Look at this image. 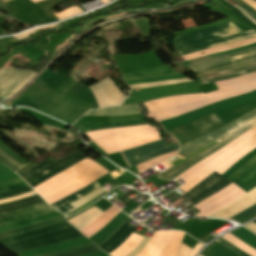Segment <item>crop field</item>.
<instances>
[{
	"instance_id": "1",
	"label": "crop field",
	"mask_w": 256,
	"mask_h": 256,
	"mask_svg": "<svg viewBox=\"0 0 256 256\" xmlns=\"http://www.w3.org/2000/svg\"><path fill=\"white\" fill-rule=\"evenodd\" d=\"M255 148L256 126L179 175L186 183L178 188L187 192L214 171L222 175L234 162Z\"/></svg>"
},
{
	"instance_id": "2",
	"label": "crop field",
	"mask_w": 256,
	"mask_h": 256,
	"mask_svg": "<svg viewBox=\"0 0 256 256\" xmlns=\"http://www.w3.org/2000/svg\"><path fill=\"white\" fill-rule=\"evenodd\" d=\"M254 36H256V31L243 32L229 22L177 36L174 38L173 43L175 49L182 56Z\"/></svg>"
},
{
	"instance_id": "3",
	"label": "crop field",
	"mask_w": 256,
	"mask_h": 256,
	"mask_svg": "<svg viewBox=\"0 0 256 256\" xmlns=\"http://www.w3.org/2000/svg\"><path fill=\"white\" fill-rule=\"evenodd\" d=\"M255 80H256V72L251 73V74L246 75V76H243V77L230 79V80H226V81H221V82H216L215 85L218 87V89H222V88L232 87V86H236V85H240V84H244V83L253 82ZM255 89H256V84H253V85L245 87V88H241V89H237V90H233V91H228V92H223V93H219L217 95L206 97L207 100H204V101L185 104V105H181V106L161 110V111H158V112L151 113V115L155 119H157L158 121H161V120L173 118V117H176L178 115L190 112L192 110H195V109L200 108L202 106L208 105L210 103L220 101V100H224V99H227V98L239 95V94H243V93H246V92H250V91H253Z\"/></svg>"
},
{
	"instance_id": "4",
	"label": "crop field",
	"mask_w": 256,
	"mask_h": 256,
	"mask_svg": "<svg viewBox=\"0 0 256 256\" xmlns=\"http://www.w3.org/2000/svg\"><path fill=\"white\" fill-rule=\"evenodd\" d=\"M79 237H83V235H81L77 230L71 227L51 232L39 237L15 242L4 247L11 253L19 254L29 250L55 245Z\"/></svg>"
},
{
	"instance_id": "5",
	"label": "crop field",
	"mask_w": 256,
	"mask_h": 256,
	"mask_svg": "<svg viewBox=\"0 0 256 256\" xmlns=\"http://www.w3.org/2000/svg\"><path fill=\"white\" fill-rule=\"evenodd\" d=\"M224 125L225 124L212 113L193 123L168 131V133H170L182 146Z\"/></svg>"
},
{
	"instance_id": "6",
	"label": "crop field",
	"mask_w": 256,
	"mask_h": 256,
	"mask_svg": "<svg viewBox=\"0 0 256 256\" xmlns=\"http://www.w3.org/2000/svg\"><path fill=\"white\" fill-rule=\"evenodd\" d=\"M256 117V109L252 110L251 112L247 113L246 115L234 120L233 122L225 125L224 127L213 131L193 142H190L180 148V153L185 157L203 147L213 141H220L247 122L251 121Z\"/></svg>"
},
{
	"instance_id": "7",
	"label": "crop field",
	"mask_w": 256,
	"mask_h": 256,
	"mask_svg": "<svg viewBox=\"0 0 256 256\" xmlns=\"http://www.w3.org/2000/svg\"><path fill=\"white\" fill-rule=\"evenodd\" d=\"M63 218L65 217L62 216L36 225L2 233L0 234V244L12 243L70 226Z\"/></svg>"
},
{
	"instance_id": "8",
	"label": "crop field",
	"mask_w": 256,
	"mask_h": 256,
	"mask_svg": "<svg viewBox=\"0 0 256 256\" xmlns=\"http://www.w3.org/2000/svg\"><path fill=\"white\" fill-rule=\"evenodd\" d=\"M173 232H155L138 256H158L169 242ZM184 233L175 232L160 256H175Z\"/></svg>"
},
{
	"instance_id": "9",
	"label": "crop field",
	"mask_w": 256,
	"mask_h": 256,
	"mask_svg": "<svg viewBox=\"0 0 256 256\" xmlns=\"http://www.w3.org/2000/svg\"><path fill=\"white\" fill-rule=\"evenodd\" d=\"M255 125H256V118L254 120H252L251 122L247 123L246 125H244L243 127H241L239 130H237L232 135L228 136L227 138L223 139L221 142L212 146L208 150L184 161L183 163L175 166L174 168L170 169L169 171L157 176V178H159L161 180H166V181L172 180L173 178H175L176 176H178L179 174H181L182 172H184L185 170H187L188 168L193 166L195 163H197L201 159H203V158L209 156L210 154H212L213 152L217 151L218 149H220L224 145L228 144L229 142H231L232 140H234L235 138H237L238 136H240L241 134H243L244 132H246L248 129H250L251 127H253Z\"/></svg>"
},
{
	"instance_id": "10",
	"label": "crop field",
	"mask_w": 256,
	"mask_h": 256,
	"mask_svg": "<svg viewBox=\"0 0 256 256\" xmlns=\"http://www.w3.org/2000/svg\"><path fill=\"white\" fill-rule=\"evenodd\" d=\"M178 146L179 145L166 146L165 143L160 140L123 151L122 153L130 167H132L154 157L178 150Z\"/></svg>"
},
{
	"instance_id": "11",
	"label": "crop field",
	"mask_w": 256,
	"mask_h": 256,
	"mask_svg": "<svg viewBox=\"0 0 256 256\" xmlns=\"http://www.w3.org/2000/svg\"><path fill=\"white\" fill-rule=\"evenodd\" d=\"M36 73L14 68L0 70V97L10 98Z\"/></svg>"
},
{
	"instance_id": "12",
	"label": "crop field",
	"mask_w": 256,
	"mask_h": 256,
	"mask_svg": "<svg viewBox=\"0 0 256 256\" xmlns=\"http://www.w3.org/2000/svg\"><path fill=\"white\" fill-rule=\"evenodd\" d=\"M230 183L224 177L214 172L182 197L190 200L191 204L194 205Z\"/></svg>"
},
{
	"instance_id": "13",
	"label": "crop field",
	"mask_w": 256,
	"mask_h": 256,
	"mask_svg": "<svg viewBox=\"0 0 256 256\" xmlns=\"http://www.w3.org/2000/svg\"><path fill=\"white\" fill-rule=\"evenodd\" d=\"M252 58H256V47L249 50H245V51L205 60L202 62L194 63L191 65H187V67L192 72L198 74L206 70H209L211 68L222 67V66L238 63L241 61H245L248 59H252Z\"/></svg>"
},
{
	"instance_id": "14",
	"label": "crop field",
	"mask_w": 256,
	"mask_h": 256,
	"mask_svg": "<svg viewBox=\"0 0 256 256\" xmlns=\"http://www.w3.org/2000/svg\"><path fill=\"white\" fill-rule=\"evenodd\" d=\"M91 185H92V183L90 185H88L87 187L51 204V206L56 208L61 213L71 209V207H72L73 208L72 210L64 213V215H66V214L74 211L75 209L79 208L86 202L90 201L91 199H93V198L97 197L98 195L105 192L95 181L92 186L94 191L92 190ZM91 191H93V192H91ZM89 192H91V193H89ZM87 193H89V194H87ZM85 194H87V195H85ZM83 195H85V196H83ZM81 196H83V197H81ZM78 198H80V199H78ZM76 199H78V200H76ZM74 200H76V201H74ZM72 201H74V202H72ZM70 202H72V203H70ZM68 203H70V204H68ZM67 204L71 207H69Z\"/></svg>"
},
{
	"instance_id": "15",
	"label": "crop field",
	"mask_w": 256,
	"mask_h": 256,
	"mask_svg": "<svg viewBox=\"0 0 256 256\" xmlns=\"http://www.w3.org/2000/svg\"><path fill=\"white\" fill-rule=\"evenodd\" d=\"M97 100L98 107H108L119 105L125 98L113 84V82L107 78L99 83L89 86Z\"/></svg>"
},
{
	"instance_id": "16",
	"label": "crop field",
	"mask_w": 256,
	"mask_h": 256,
	"mask_svg": "<svg viewBox=\"0 0 256 256\" xmlns=\"http://www.w3.org/2000/svg\"><path fill=\"white\" fill-rule=\"evenodd\" d=\"M83 154L77 152L74 153L60 161H57L56 163L50 165L49 167L33 174L32 176L25 179L29 184L34 183L35 186L42 183L43 181L49 179L50 177L56 175L57 173L69 168L70 166L74 165L75 163L81 161L83 158H85ZM34 184L31 185L34 187Z\"/></svg>"
},
{
	"instance_id": "17",
	"label": "crop field",
	"mask_w": 256,
	"mask_h": 256,
	"mask_svg": "<svg viewBox=\"0 0 256 256\" xmlns=\"http://www.w3.org/2000/svg\"><path fill=\"white\" fill-rule=\"evenodd\" d=\"M256 203V187L241 197L235 199L229 204L223 206L207 217H217L228 219L229 217L235 215L238 212H241L248 208L249 206Z\"/></svg>"
},
{
	"instance_id": "18",
	"label": "crop field",
	"mask_w": 256,
	"mask_h": 256,
	"mask_svg": "<svg viewBox=\"0 0 256 256\" xmlns=\"http://www.w3.org/2000/svg\"><path fill=\"white\" fill-rule=\"evenodd\" d=\"M100 167V166H99ZM109 173L107 170L103 169L102 167L92 171L91 173L83 176L82 178L72 182L71 184L63 187L62 189L56 191L55 193L51 194L50 196L44 198L49 204L72 193L75 192L82 187L90 184L95 179Z\"/></svg>"
},
{
	"instance_id": "19",
	"label": "crop field",
	"mask_w": 256,
	"mask_h": 256,
	"mask_svg": "<svg viewBox=\"0 0 256 256\" xmlns=\"http://www.w3.org/2000/svg\"><path fill=\"white\" fill-rule=\"evenodd\" d=\"M228 180L246 192L254 188L256 186V156L244 164Z\"/></svg>"
},
{
	"instance_id": "20",
	"label": "crop field",
	"mask_w": 256,
	"mask_h": 256,
	"mask_svg": "<svg viewBox=\"0 0 256 256\" xmlns=\"http://www.w3.org/2000/svg\"><path fill=\"white\" fill-rule=\"evenodd\" d=\"M52 211H55V210L52 207H50L47 203H44V204L36 205L33 207L16 210V211H12L9 213L0 214V218H3V217H7V216H13V215L25 213V214L18 215V216L0 219V225L29 219V218L36 217V216H39V215H42L45 213H49Z\"/></svg>"
},
{
	"instance_id": "21",
	"label": "crop field",
	"mask_w": 256,
	"mask_h": 256,
	"mask_svg": "<svg viewBox=\"0 0 256 256\" xmlns=\"http://www.w3.org/2000/svg\"><path fill=\"white\" fill-rule=\"evenodd\" d=\"M131 218H127L113 233V235L100 244L98 247L103 249L108 254L112 252L115 248H117L136 228L130 223ZM130 220V221H129ZM129 221V223H127Z\"/></svg>"
},
{
	"instance_id": "22",
	"label": "crop field",
	"mask_w": 256,
	"mask_h": 256,
	"mask_svg": "<svg viewBox=\"0 0 256 256\" xmlns=\"http://www.w3.org/2000/svg\"><path fill=\"white\" fill-rule=\"evenodd\" d=\"M119 211L120 210H118L116 207H111L80 231L88 238L91 237L93 234L102 229L106 224H108Z\"/></svg>"
},
{
	"instance_id": "23",
	"label": "crop field",
	"mask_w": 256,
	"mask_h": 256,
	"mask_svg": "<svg viewBox=\"0 0 256 256\" xmlns=\"http://www.w3.org/2000/svg\"><path fill=\"white\" fill-rule=\"evenodd\" d=\"M146 124L143 120L138 121H128V122H118V123H76L72 126L79 129L80 133L97 130L102 128H114L120 126H130V125H141Z\"/></svg>"
},
{
	"instance_id": "24",
	"label": "crop field",
	"mask_w": 256,
	"mask_h": 256,
	"mask_svg": "<svg viewBox=\"0 0 256 256\" xmlns=\"http://www.w3.org/2000/svg\"><path fill=\"white\" fill-rule=\"evenodd\" d=\"M163 75H177L175 72H172L171 68L166 65L146 71L134 72L130 74L123 75L124 81L138 78H148V77H156Z\"/></svg>"
},
{
	"instance_id": "25",
	"label": "crop field",
	"mask_w": 256,
	"mask_h": 256,
	"mask_svg": "<svg viewBox=\"0 0 256 256\" xmlns=\"http://www.w3.org/2000/svg\"><path fill=\"white\" fill-rule=\"evenodd\" d=\"M151 128L148 125H142V126H132V127H121V128H114V129H103L99 131H93V132H86L85 134L91 139H97L101 137L106 136H112L119 133H125V132H131L141 129Z\"/></svg>"
},
{
	"instance_id": "26",
	"label": "crop field",
	"mask_w": 256,
	"mask_h": 256,
	"mask_svg": "<svg viewBox=\"0 0 256 256\" xmlns=\"http://www.w3.org/2000/svg\"><path fill=\"white\" fill-rule=\"evenodd\" d=\"M103 212L100 211L98 208L95 206L88 209L87 211L83 212L82 214L73 217L69 220L74 227H76L78 230L86 226L88 223H90L92 220H94L96 217H98L100 214Z\"/></svg>"
},
{
	"instance_id": "27",
	"label": "crop field",
	"mask_w": 256,
	"mask_h": 256,
	"mask_svg": "<svg viewBox=\"0 0 256 256\" xmlns=\"http://www.w3.org/2000/svg\"><path fill=\"white\" fill-rule=\"evenodd\" d=\"M134 113H141L137 105L88 111L83 116H88V115H121V114H134Z\"/></svg>"
},
{
	"instance_id": "28",
	"label": "crop field",
	"mask_w": 256,
	"mask_h": 256,
	"mask_svg": "<svg viewBox=\"0 0 256 256\" xmlns=\"http://www.w3.org/2000/svg\"><path fill=\"white\" fill-rule=\"evenodd\" d=\"M58 216H62L59 212L55 211L49 214H45L36 218H32L29 220H25L22 222H18V223H13V224H8V225H4V226H0V233L2 232H6L9 230H13V229H17V228H21V227H25L28 225H32V224H36L54 217H58Z\"/></svg>"
},
{
	"instance_id": "29",
	"label": "crop field",
	"mask_w": 256,
	"mask_h": 256,
	"mask_svg": "<svg viewBox=\"0 0 256 256\" xmlns=\"http://www.w3.org/2000/svg\"><path fill=\"white\" fill-rule=\"evenodd\" d=\"M40 202H44V201L38 195L30 197V198L22 199V200L10 202L7 204L0 205V213L23 208V207H26L29 205L40 203Z\"/></svg>"
},
{
	"instance_id": "30",
	"label": "crop field",
	"mask_w": 256,
	"mask_h": 256,
	"mask_svg": "<svg viewBox=\"0 0 256 256\" xmlns=\"http://www.w3.org/2000/svg\"><path fill=\"white\" fill-rule=\"evenodd\" d=\"M53 162H55V161L49 159V160H47V161H45V162H43V163H41V164H39V165H34V164L29 163V164H27L25 167H23L22 169H20V170L17 172V174H19L21 177H23V178L25 179V178H27L28 176H30V175H32L33 173H35L36 171H38V170H40V169H42V168H44V167H46V166L52 164ZM23 178H22V179H23Z\"/></svg>"
},
{
	"instance_id": "31",
	"label": "crop field",
	"mask_w": 256,
	"mask_h": 256,
	"mask_svg": "<svg viewBox=\"0 0 256 256\" xmlns=\"http://www.w3.org/2000/svg\"><path fill=\"white\" fill-rule=\"evenodd\" d=\"M222 237L225 240H227L228 242H230L231 244H233L234 246H236L237 248H239L242 251H244L245 253H247L248 255L256 256V251L254 249H252L251 247H249L245 243L239 241L238 239H236L235 237H233L229 233L223 235Z\"/></svg>"
},
{
	"instance_id": "32",
	"label": "crop field",
	"mask_w": 256,
	"mask_h": 256,
	"mask_svg": "<svg viewBox=\"0 0 256 256\" xmlns=\"http://www.w3.org/2000/svg\"><path fill=\"white\" fill-rule=\"evenodd\" d=\"M0 161L7 165L11 170L16 171L20 167L24 166L12 156L0 149Z\"/></svg>"
},
{
	"instance_id": "33",
	"label": "crop field",
	"mask_w": 256,
	"mask_h": 256,
	"mask_svg": "<svg viewBox=\"0 0 256 256\" xmlns=\"http://www.w3.org/2000/svg\"><path fill=\"white\" fill-rule=\"evenodd\" d=\"M176 152H173V153H170V154H167V155H164V156H160V157H157V158H154L150 161H147L143 164H140L137 166L138 168V172L141 173L143 171H145L146 169L152 167V166H155L171 157H173L175 155Z\"/></svg>"
},
{
	"instance_id": "34",
	"label": "crop field",
	"mask_w": 256,
	"mask_h": 256,
	"mask_svg": "<svg viewBox=\"0 0 256 256\" xmlns=\"http://www.w3.org/2000/svg\"><path fill=\"white\" fill-rule=\"evenodd\" d=\"M95 251H99V249L94 245H91V246H87V247H83V248H79V249H75V250H71V251H67V252H63V253H59L51 256H79V255H83V254H87Z\"/></svg>"
},
{
	"instance_id": "35",
	"label": "crop field",
	"mask_w": 256,
	"mask_h": 256,
	"mask_svg": "<svg viewBox=\"0 0 256 256\" xmlns=\"http://www.w3.org/2000/svg\"><path fill=\"white\" fill-rule=\"evenodd\" d=\"M80 13H82V11L77 7V5H75L73 7H70L68 9H65L63 11H60V12L54 13V14L56 15V17L59 20H62V19H66V18L72 17V16L80 14Z\"/></svg>"
},
{
	"instance_id": "36",
	"label": "crop field",
	"mask_w": 256,
	"mask_h": 256,
	"mask_svg": "<svg viewBox=\"0 0 256 256\" xmlns=\"http://www.w3.org/2000/svg\"><path fill=\"white\" fill-rule=\"evenodd\" d=\"M254 67H256V63L255 64H251V65H247V66H244V67H240V68H236V69H232V70L216 73V74H213V75H210V76L202 77L200 79L202 81H205V80L216 78V77H219V76H222V75L236 73V72L244 71V70L251 69V68H254Z\"/></svg>"
},
{
	"instance_id": "37",
	"label": "crop field",
	"mask_w": 256,
	"mask_h": 256,
	"mask_svg": "<svg viewBox=\"0 0 256 256\" xmlns=\"http://www.w3.org/2000/svg\"><path fill=\"white\" fill-rule=\"evenodd\" d=\"M191 81L188 78L180 79V80H173V81H165V82H157V83H149V84H142V85H134L129 86L130 89L135 88H149V87H155V86H161V85H167V84H173V83H179V82H188Z\"/></svg>"
},
{
	"instance_id": "38",
	"label": "crop field",
	"mask_w": 256,
	"mask_h": 256,
	"mask_svg": "<svg viewBox=\"0 0 256 256\" xmlns=\"http://www.w3.org/2000/svg\"><path fill=\"white\" fill-rule=\"evenodd\" d=\"M29 191H32V189L30 188L29 185H27V186L19 188V189H15V190H12V191L0 193V199L12 197V196L23 194V193H27Z\"/></svg>"
},
{
	"instance_id": "39",
	"label": "crop field",
	"mask_w": 256,
	"mask_h": 256,
	"mask_svg": "<svg viewBox=\"0 0 256 256\" xmlns=\"http://www.w3.org/2000/svg\"><path fill=\"white\" fill-rule=\"evenodd\" d=\"M255 62H256V59H252V60H248V61L241 62V63H238V64H234V65H230V66H226V67L214 69V70H211V71H207V72L198 74V76L201 77V76H204V75H207V74H211V73H215V72H219V71H223V70L235 68V67H238V66H242V65H247V64L255 63Z\"/></svg>"
},
{
	"instance_id": "40",
	"label": "crop field",
	"mask_w": 256,
	"mask_h": 256,
	"mask_svg": "<svg viewBox=\"0 0 256 256\" xmlns=\"http://www.w3.org/2000/svg\"><path fill=\"white\" fill-rule=\"evenodd\" d=\"M256 212V204L249 207L247 210L233 216L232 218H230L231 220H235L237 222L247 218L248 216L254 214Z\"/></svg>"
},
{
	"instance_id": "41",
	"label": "crop field",
	"mask_w": 256,
	"mask_h": 256,
	"mask_svg": "<svg viewBox=\"0 0 256 256\" xmlns=\"http://www.w3.org/2000/svg\"><path fill=\"white\" fill-rule=\"evenodd\" d=\"M215 241H217L219 244L223 245L224 247L228 248L229 250H231L232 252L236 253L239 256H248L247 254H245L244 252L240 251L239 249H237L236 247H234L233 245H231L230 243H228L227 241H225L221 237L218 238Z\"/></svg>"
},
{
	"instance_id": "42",
	"label": "crop field",
	"mask_w": 256,
	"mask_h": 256,
	"mask_svg": "<svg viewBox=\"0 0 256 256\" xmlns=\"http://www.w3.org/2000/svg\"><path fill=\"white\" fill-rule=\"evenodd\" d=\"M254 71H256V69H252V70H248V71H244V72H240V73H236V74L226 75V76L219 77V78H216V79H213V80L205 81V82H203V84L213 82V81H221V80H226V79L246 75V74L254 72Z\"/></svg>"
},
{
	"instance_id": "43",
	"label": "crop field",
	"mask_w": 256,
	"mask_h": 256,
	"mask_svg": "<svg viewBox=\"0 0 256 256\" xmlns=\"http://www.w3.org/2000/svg\"><path fill=\"white\" fill-rule=\"evenodd\" d=\"M230 1H232L236 5L240 6L242 9H244L248 14H250L256 20V11H254L252 8L247 6L241 0H230Z\"/></svg>"
},
{
	"instance_id": "44",
	"label": "crop field",
	"mask_w": 256,
	"mask_h": 256,
	"mask_svg": "<svg viewBox=\"0 0 256 256\" xmlns=\"http://www.w3.org/2000/svg\"><path fill=\"white\" fill-rule=\"evenodd\" d=\"M150 237L145 236V238L143 239V241L140 243V245L133 251L131 252L129 255L127 256H136L137 254L140 253V251L145 247V245L147 244V242L149 241Z\"/></svg>"
},
{
	"instance_id": "45",
	"label": "crop field",
	"mask_w": 256,
	"mask_h": 256,
	"mask_svg": "<svg viewBox=\"0 0 256 256\" xmlns=\"http://www.w3.org/2000/svg\"><path fill=\"white\" fill-rule=\"evenodd\" d=\"M191 249L192 248L188 247L184 243H181V246L176 256H188Z\"/></svg>"
},
{
	"instance_id": "46",
	"label": "crop field",
	"mask_w": 256,
	"mask_h": 256,
	"mask_svg": "<svg viewBox=\"0 0 256 256\" xmlns=\"http://www.w3.org/2000/svg\"><path fill=\"white\" fill-rule=\"evenodd\" d=\"M34 194H36V193L34 191H32V192L24 194V195H20V196L8 198V199H3V200H0V204L10 202V201H14V200H18V199H22V198H26V197H28L30 195H34Z\"/></svg>"
},
{
	"instance_id": "47",
	"label": "crop field",
	"mask_w": 256,
	"mask_h": 256,
	"mask_svg": "<svg viewBox=\"0 0 256 256\" xmlns=\"http://www.w3.org/2000/svg\"><path fill=\"white\" fill-rule=\"evenodd\" d=\"M58 24V23H57ZM57 24H53V25H49V26H44V27H40V28H37V29H45V28H49V27H52V26H55ZM37 29H32L30 31H27L25 33H22V34H19L17 36H14L16 39L20 40L28 35H30L31 33H33L34 31H36Z\"/></svg>"
},
{
	"instance_id": "48",
	"label": "crop field",
	"mask_w": 256,
	"mask_h": 256,
	"mask_svg": "<svg viewBox=\"0 0 256 256\" xmlns=\"http://www.w3.org/2000/svg\"><path fill=\"white\" fill-rule=\"evenodd\" d=\"M24 185H27V184L24 181H22L20 183H17V184L8 186V187L0 188V192L12 190V189H15V188H19V187H22Z\"/></svg>"
},
{
	"instance_id": "49",
	"label": "crop field",
	"mask_w": 256,
	"mask_h": 256,
	"mask_svg": "<svg viewBox=\"0 0 256 256\" xmlns=\"http://www.w3.org/2000/svg\"><path fill=\"white\" fill-rule=\"evenodd\" d=\"M253 42H255V41H253ZM253 42H249V43H246V44H242V45L234 46V47H231V48H226V49L217 50V51H214V52H211V53H207V54L199 55V56H196V57H192V58L184 59L183 61H185V60H189V59H193V58H197V57L204 56V55H208V54H212V53H216V52H221V51H225V50L234 49V48L241 47V46H244V45H247V44L253 43Z\"/></svg>"
},
{
	"instance_id": "50",
	"label": "crop field",
	"mask_w": 256,
	"mask_h": 256,
	"mask_svg": "<svg viewBox=\"0 0 256 256\" xmlns=\"http://www.w3.org/2000/svg\"><path fill=\"white\" fill-rule=\"evenodd\" d=\"M202 246H203V245H201V244L198 243V244L192 249V251H191V253L189 254V256H195Z\"/></svg>"
},
{
	"instance_id": "51",
	"label": "crop field",
	"mask_w": 256,
	"mask_h": 256,
	"mask_svg": "<svg viewBox=\"0 0 256 256\" xmlns=\"http://www.w3.org/2000/svg\"><path fill=\"white\" fill-rule=\"evenodd\" d=\"M244 227L248 228L249 230H251L252 232H254L256 234V224L250 222V223L244 225Z\"/></svg>"
},
{
	"instance_id": "52",
	"label": "crop field",
	"mask_w": 256,
	"mask_h": 256,
	"mask_svg": "<svg viewBox=\"0 0 256 256\" xmlns=\"http://www.w3.org/2000/svg\"><path fill=\"white\" fill-rule=\"evenodd\" d=\"M244 1L246 4H248L250 7H252L254 10H256V2L252 1V0H242Z\"/></svg>"
},
{
	"instance_id": "53",
	"label": "crop field",
	"mask_w": 256,
	"mask_h": 256,
	"mask_svg": "<svg viewBox=\"0 0 256 256\" xmlns=\"http://www.w3.org/2000/svg\"><path fill=\"white\" fill-rule=\"evenodd\" d=\"M33 2H37V1H40V0H32Z\"/></svg>"
},
{
	"instance_id": "54",
	"label": "crop field",
	"mask_w": 256,
	"mask_h": 256,
	"mask_svg": "<svg viewBox=\"0 0 256 256\" xmlns=\"http://www.w3.org/2000/svg\"><path fill=\"white\" fill-rule=\"evenodd\" d=\"M3 2H5V1H9V0H2Z\"/></svg>"
},
{
	"instance_id": "55",
	"label": "crop field",
	"mask_w": 256,
	"mask_h": 256,
	"mask_svg": "<svg viewBox=\"0 0 256 256\" xmlns=\"http://www.w3.org/2000/svg\"><path fill=\"white\" fill-rule=\"evenodd\" d=\"M253 222H255V223H256V219H255Z\"/></svg>"
},
{
	"instance_id": "56",
	"label": "crop field",
	"mask_w": 256,
	"mask_h": 256,
	"mask_svg": "<svg viewBox=\"0 0 256 256\" xmlns=\"http://www.w3.org/2000/svg\"><path fill=\"white\" fill-rule=\"evenodd\" d=\"M200 256V255H199Z\"/></svg>"
}]
</instances>
